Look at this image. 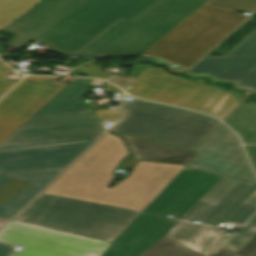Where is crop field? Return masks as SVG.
<instances>
[{
    "instance_id": "1",
    "label": "crop field",
    "mask_w": 256,
    "mask_h": 256,
    "mask_svg": "<svg viewBox=\"0 0 256 256\" xmlns=\"http://www.w3.org/2000/svg\"><path fill=\"white\" fill-rule=\"evenodd\" d=\"M128 154L122 139L107 132L14 220L112 242L186 167L139 161L108 188Z\"/></svg>"
},
{
    "instance_id": "2",
    "label": "crop field",
    "mask_w": 256,
    "mask_h": 256,
    "mask_svg": "<svg viewBox=\"0 0 256 256\" xmlns=\"http://www.w3.org/2000/svg\"><path fill=\"white\" fill-rule=\"evenodd\" d=\"M255 211L256 184L185 168L101 256H140L164 236L211 256L230 235L164 216L218 227L221 222L244 224Z\"/></svg>"
},
{
    "instance_id": "3",
    "label": "crop field",
    "mask_w": 256,
    "mask_h": 256,
    "mask_svg": "<svg viewBox=\"0 0 256 256\" xmlns=\"http://www.w3.org/2000/svg\"><path fill=\"white\" fill-rule=\"evenodd\" d=\"M156 0H41L3 30L17 33L7 44L20 50L41 42L72 54L118 18L132 20Z\"/></svg>"
},
{
    "instance_id": "4",
    "label": "crop field",
    "mask_w": 256,
    "mask_h": 256,
    "mask_svg": "<svg viewBox=\"0 0 256 256\" xmlns=\"http://www.w3.org/2000/svg\"><path fill=\"white\" fill-rule=\"evenodd\" d=\"M87 79H73L0 145V159L84 151L106 130L82 104Z\"/></svg>"
},
{
    "instance_id": "5",
    "label": "crop field",
    "mask_w": 256,
    "mask_h": 256,
    "mask_svg": "<svg viewBox=\"0 0 256 256\" xmlns=\"http://www.w3.org/2000/svg\"><path fill=\"white\" fill-rule=\"evenodd\" d=\"M121 106L125 116L111 128L113 133L190 151H194L221 123L194 112L142 100L123 99Z\"/></svg>"
},
{
    "instance_id": "6",
    "label": "crop field",
    "mask_w": 256,
    "mask_h": 256,
    "mask_svg": "<svg viewBox=\"0 0 256 256\" xmlns=\"http://www.w3.org/2000/svg\"><path fill=\"white\" fill-rule=\"evenodd\" d=\"M109 81L133 96L183 106L221 120L242 100L234 91L204 86L202 80L193 82L171 76L161 68L148 65L132 67L129 78L116 76Z\"/></svg>"
},
{
    "instance_id": "7",
    "label": "crop field",
    "mask_w": 256,
    "mask_h": 256,
    "mask_svg": "<svg viewBox=\"0 0 256 256\" xmlns=\"http://www.w3.org/2000/svg\"><path fill=\"white\" fill-rule=\"evenodd\" d=\"M247 16L203 5L144 53L190 67Z\"/></svg>"
},
{
    "instance_id": "8",
    "label": "crop field",
    "mask_w": 256,
    "mask_h": 256,
    "mask_svg": "<svg viewBox=\"0 0 256 256\" xmlns=\"http://www.w3.org/2000/svg\"><path fill=\"white\" fill-rule=\"evenodd\" d=\"M206 0H161L136 21L120 20L96 40L90 54L99 57L142 52Z\"/></svg>"
},
{
    "instance_id": "9",
    "label": "crop field",
    "mask_w": 256,
    "mask_h": 256,
    "mask_svg": "<svg viewBox=\"0 0 256 256\" xmlns=\"http://www.w3.org/2000/svg\"><path fill=\"white\" fill-rule=\"evenodd\" d=\"M0 241L23 247L11 256H100L111 243L11 220Z\"/></svg>"
},
{
    "instance_id": "10",
    "label": "crop field",
    "mask_w": 256,
    "mask_h": 256,
    "mask_svg": "<svg viewBox=\"0 0 256 256\" xmlns=\"http://www.w3.org/2000/svg\"><path fill=\"white\" fill-rule=\"evenodd\" d=\"M199 154L188 168L256 183L235 135L220 124L195 150Z\"/></svg>"
},
{
    "instance_id": "11",
    "label": "crop field",
    "mask_w": 256,
    "mask_h": 256,
    "mask_svg": "<svg viewBox=\"0 0 256 256\" xmlns=\"http://www.w3.org/2000/svg\"><path fill=\"white\" fill-rule=\"evenodd\" d=\"M61 77H26L0 101V144L65 84Z\"/></svg>"
},
{
    "instance_id": "12",
    "label": "crop field",
    "mask_w": 256,
    "mask_h": 256,
    "mask_svg": "<svg viewBox=\"0 0 256 256\" xmlns=\"http://www.w3.org/2000/svg\"><path fill=\"white\" fill-rule=\"evenodd\" d=\"M63 170L0 175V217L11 219Z\"/></svg>"
},
{
    "instance_id": "13",
    "label": "crop field",
    "mask_w": 256,
    "mask_h": 256,
    "mask_svg": "<svg viewBox=\"0 0 256 256\" xmlns=\"http://www.w3.org/2000/svg\"><path fill=\"white\" fill-rule=\"evenodd\" d=\"M255 62L256 58L202 59L186 75H205L214 82H233Z\"/></svg>"
},
{
    "instance_id": "14",
    "label": "crop field",
    "mask_w": 256,
    "mask_h": 256,
    "mask_svg": "<svg viewBox=\"0 0 256 256\" xmlns=\"http://www.w3.org/2000/svg\"><path fill=\"white\" fill-rule=\"evenodd\" d=\"M120 135V134H118ZM136 159L187 165L198 153L124 135Z\"/></svg>"
},
{
    "instance_id": "15",
    "label": "crop field",
    "mask_w": 256,
    "mask_h": 256,
    "mask_svg": "<svg viewBox=\"0 0 256 256\" xmlns=\"http://www.w3.org/2000/svg\"><path fill=\"white\" fill-rule=\"evenodd\" d=\"M81 153L0 160V171L13 172L64 167Z\"/></svg>"
},
{
    "instance_id": "16",
    "label": "crop field",
    "mask_w": 256,
    "mask_h": 256,
    "mask_svg": "<svg viewBox=\"0 0 256 256\" xmlns=\"http://www.w3.org/2000/svg\"><path fill=\"white\" fill-rule=\"evenodd\" d=\"M244 143H256V104L241 103L224 121Z\"/></svg>"
},
{
    "instance_id": "17",
    "label": "crop field",
    "mask_w": 256,
    "mask_h": 256,
    "mask_svg": "<svg viewBox=\"0 0 256 256\" xmlns=\"http://www.w3.org/2000/svg\"><path fill=\"white\" fill-rule=\"evenodd\" d=\"M141 256H203L169 238L164 237Z\"/></svg>"
},
{
    "instance_id": "18",
    "label": "crop field",
    "mask_w": 256,
    "mask_h": 256,
    "mask_svg": "<svg viewBox=\"0 0 256 256\" xmlns=\"http://www.w3.org/2000/svg\"><path fill=\"white\" fill-rule=\"evenodd\" d=\"M40 0H0V30Z\"/></svg>"
},
{
    "instance_id": "19",
    "label": "crop field",
    "mask_w": 256,
    "mask_h": 256,
    "mask_svg": "<svg viewBox=\"0 0 256 256\" xmlns=\"http://www.w3.org/2000/svg\"><path fill=\"white\" fill-rule=\"evenodd\" d=\"M224 57H256V28L231 48L224 56L204 58H224Z\"/></svg>"
},
{
    "instance_id": "20",
    "label": "crop field",
    "mask_w": 256,
    "mask_h": 256,
    "mask_svg": "<svg viewBox=\"0 0 256 256\" xmlns=\"http://www.w3.org/2000/svg\"><path fill=\"white\" fill-rule=\"evenodd\" d=\"M255 233L256 215L223 247L239 251Z\"/></svg>"
},
{
    "instance_id": "21",
    "label": "crop field",
    "mask_w": 256,
    "mask_h": 256,
    "mask_svg": "<svg viewBox=\"0 0 256 256\" xmlns=\"http://www.w3.org/2000/svg\"><path fill=\"white\" fill-rule=\"evenodd\" d=\"M205 4L249 13L256 10V0H209Z\"/></svg>"
},
{
    "instance_id": "22",
    "label": "crop field",
    "mask_w": 256,
    "mask_h": 256,
    "mask_svg": "<svg viewBox=\"0 0 256 256\" xmlns=\"http://www.w3.org/2000/svg\"><path fill=\"white\" fill-rule=\"evenodd\" d=\"M231 85L244 90L256 91V63Z\"/></svg>"
},
{
    "instance_id": "23",
    "label": "crop field",
    "mask_w": 256,
    "mask_h": 256,
    "mask_svg": "<svg viewBox=\"0 0 256 256\" xmlns=\"http://www.w3.org/2000/svg\"><path fill=\"white\" fill-rule=\"evenodd\" d=\"M159 1H160V0L156 1L152 6H154V5H155L156 3H158ZM152 6H151V7H152ZM151 7H150V8H151ZM150 8H148L147 10H149ZM147 10H146V11H147ZM146 11H145V12H146ZM145 12H143L142 14H144ZM142 14H140L138 17H140ZM138 17H136V18L133 19V20H136ZM119 20H120V19H119ZM117 21H118V20H117ZM117 21H116V22H117ZM116 22H114V23H116ZM114 23H113V24H114ZM113 24H112V25H113ZM109 27H110V26H109ZM109 27H108V28H109ZM104 31H105V30H104ZM104 31H103V32H104ZM103 32H102V33H103ZM102 33H101V34H102ZM99 35H100V34H99ZM99 35H98V36H99ZM98 36H97V37H98ZM97 37H96V38H97ZM96 38H94L90 43H88L86 46H84L82 49H80L78 52H76V53H74V54L80 55V56H84V57H87V58H91V59L95 58L96 56L89 55V52H90L91 50H93L95 47H97L99 44H101V42L94 41Z\"/></svg>"
},
{
    "instance_id": "24",
    "label": "crop field",
    "mask_w": 256,
    "mask_h": 256,
    "mask_svg": "<svg viewBox=\"0 0 256 256\" xmlns=\"http://www.w3.org/2000/svg\"><path fill=\"white\" fill-rule=\"evenodd\" d=\"M13 70L7 67L2 61H0V97L13 85L14 83L2 81Z\"/></svg>"
},
{
    "instance_id": "25",
    "label": "crop field",
    "mask_w": 256,
    "mask_h": 256,
    "mask_svg": "<svg viewBox=\"0 0 256 256\" xmlns=\"http://www.w3.org/2000/svg\"><path fill=\"white\" fill-rule=\"evenodd\" d=\"M95 116L98 120H112L116 121L121 117V113L118 109H106L94 111Z\"/></svg>"
},
{
    "instance_id": "26",
    "label": "crop field",
    "mask_w": 256,
    "mask_h": 256,
    "mask_svg": "<svg viewBox=\"0 0 256 256\" xmlns=\"http://www.w3.org/2000/svg\"><path fill=\"white\" fill-rule=\"evenodd\" d=\"M103 67L104 66H96L90 63L87 67L83 69V71L88 75V77H98L102 79H108L111 76H113L112 74L102 73Z\"/></svg>"
},
{
    "instance_id": "27",
    "label": "crop field",
    "mask_w": 256,
    "mask_h": 256,
    "mask_svg": "<svg viewBox=\"0 0 256 256\" xmlns=\"http://www.w3.org/2000/svg\"><path fill=\"white\" fill-rule=\"evenodd\" d=\"M234 256H256V234Z\"/></svg>"
},
{
    "instance_id": "28",
    "label": "crop field",
    "mask_w": 256,
    "mask_h": 256,
    "mask_svg": "<svg viewBox=\"0 0 256 256\" xmlns=\"http://www.w3.org/2000/svg\"><path fill=\"white\" fill-rule=\"evenodd\" d=\"M247 153L256 169V145L245 146Z\"/></svg>"
},
{
    "instance_id": "29",
    "label": "crop field",
    "mask_w": 256,
    "mask_h": 256,
    "mask_svg": "<svg viewBox=\"0 0 256 256\" xmlns=\"http://www.w3.org/2000/svg\"><path fill=\"white\" fill-rule=\"evenodd\" d=\"M236 252L221 248L214 256H233Z\"/></svg>"
},
{
    "instance_id": "30",
    "label": "crop field",
    "mask_w": 256,
    "mask_h": 256,
    "mask_svg": "<svg viewBox=\"0 0 256 256\" xmlns=\"http://www.w3.org/2000/svg\"><path fill=\"white\" fill-rule=\"evenodd\" d=\"M11 249V246L0 244V256H7Z\"/></svg>"
},
{
    "instance_id": "31",
    "label": "crop field",
    "mask_w": 256,
    "mask_h": 256,
    "mask_svg": "<svg viewBox=\"0 0 256 256\" xmlns=\"http://www.w3.org/2000/svg\"><path fill=\"white\" fill-rule=\"evenodd\" d=\"M104 91L122 94V92L119 88H117L111 84H108V83L106 84Z\"/></svg>"
},
{
    "instance_id": "32",
    "label": "crop field",
    "mask_w": 256,
    "mask_h": 256,
    "mask_svg": "<svg viewBox=\"0 0 256 256\" xmlns=\"http://www.w3.org/2000/svg\"><path fill=\"white\" fill-rule=\"evenodd\" d=\"M131 162H132V157H131V155H128V157L122 162L123 164H122V167L120 169H122V168L127 169V167L129 166V164Z\"/></svg>"
},
{
    "instance_id": "33",
    "label": "crop field",
    "mask_w": 256,
    "mask_h": 256,
    "mask_svg": "<svg viewBox=\"0 0 256 256\" xmlns=\"http://www.w3.org/2000/svg\"><path fill=\"white\" fill-rule=\"evenodd\" d=\"M7 221V219L0 218V227L4 225Z\"/></svg>"
},
{
    "instance_id": "34",
    "label": "crop field",
    "mask_w": 256,
    "mask_h": 256,
    "mask_svg": "<svg viewBox=\"0 0 256 256\" xmlns=\"http://www.w3.org/2000/svg\"><path fill=\"white\" fill-rule=\"evenodd\" d=\"M137 161H134V163L132 164V166L130 167V169H133V167L136 165Z\"/></svg>"
},
{
    "instance_id": "35",
    "label": "crop field",
    "mask_w": 256,
    "mask_h": 256,
    "mask_svg": "<svg viewBox=\"0 0 256 256\" xmlns=\"http://www.w3.org/2000/svg\"><path fill=\"white\" fill-rule=\"evenodd\" d=\"M1 47H2V46H1ZM1 47H0V48H1Z\"/></svg>"
},
{
    "instance_id": "36",
    "label": "crop field",
    "mask_w": 256,
    "mask_h": 256,
    "mask_svg": "<svg viewBox=\"0 0 256 256\" xmlns=\"http://www.w3.org/2000/svg\"><path fill=\"white\" fill-rule=\"evenodd\" d=\"M1 173V172H0Z\"/></svg>"
}]
</instances>
